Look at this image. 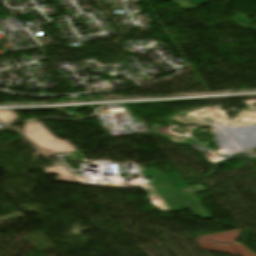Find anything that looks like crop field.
<instances>
[{
    "label": "crop field",
    "instance_id": "3",
    "mask_svg": "<svg viewBox=\"0 0 256 256\" xmlns=\"http://www.w3.org/2000/svg\"><path fill=\"white\" fill-rule=\"evenodd\" d=\"M232 20L235 24H238L239 26H242V27H245V28H248L250 30H253V31H256V28L251 26L253 22H251L250 20L240 16V15H236L234 16Z\"/></svg>",
    "mask_w": 256,
    "mask_h": 256
},
{
    "label": "crop field",
    "instance_id": "1",
    "mask_svg": "<svg viewBox=\"0 0 256 256\" xmlns=\"http://www.w3.org/2000/svg\"><path fill=\"white\" fill-rule=\"evenodd\" d=\"M47 130L41 123L31 122L26 124L24 130L21 132L50 158H52L55 153L76 151L70 142L56 139L50 134L51 132L48 130L49 133Z\"/></svg>",
    "mask_w": 256,
    "mask_h": 256
},
{
    "label": "crop field",
    "instance_id": "5",
    "mask_svg": "<svg viewBox=\"0 0 256 256\" xmlns=\"http://www.w3.org/2000/svg\"><path fill=\"white\" fill-rule=\"evenodd\" d=\"M196 5L202 4L204 2H207V0H188Z\"/></svg>",
    "mask_w": 256,
    "mask_h": 256
},
{
    "label": "crop field",
    "instance_id": "4",
    "mask_svg": "<svg viewBox=\"0 0 256 256\" xmlns=\"http://www.w3.org/2000/svg\"><path fill=\"white\" fill-rule=\"evenodd\" d=\"M0 120L5 124L12 123L17 120V116L11 111H0Z\"/></svg>",
    "mask_w": 256,
    "mask_h": 256
},
{
    "label": "crop field",
    "instance_id": "2",
    "mask_svg": "<svg viewBox=\"0 0 256 256\" xmlns=\"http://www.w3.org/2000/svg\"><path fill=\"white\" fill-rule=\"evenodd\" d=\"M52 165L54 167L46 168L45 170L47 173H58L61 178H58L57 180L78 182L76 178L63 167L62 164L56 162Z\"/></svg>",
    "mask_w": 256,
    "mask_h": 256
}]
</instances>
